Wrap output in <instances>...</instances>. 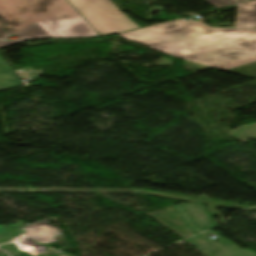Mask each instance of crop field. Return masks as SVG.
Here are the masks:
<instances>
[{
    "instance_id": "crop-field-1",
    "label": "crop field",
    "mask_w": 256,
    "mask_h": 256,
    "mask_svg": "<svg viewBox=\"0 0 256 256\" xmlns=\"http://www.w3.org/2000/svg\"><path fill=\"white\" fill-rule=\"evenodd\" d=\"M171 56L225 70L256 62V29L210 28L177 20L125 34Z\"/></svg>"
},
{
    "instance_id": "crop-field-2",
    "label": "crop field",
    "mask_w": 256,
    "mask_h": 256,
    "mask_svg": "<svg viewBox=\"0 0 256 256\" xmlns=\"http://www.w3.org/2000/svg\"><path fill=\"white\" fill-rule=\"evenodd\" d=\"M99 36L67 0H0V40Z\"/></svg>"
},
{
    "instance_id": "crop-field-3",
    "label": "crop field",
    "mask_w": 256,
    "mask_h": 256,
    "mask_svg": "<svg viewBox=\"0 0 256 256\" xmlns=\"http://www.w3.org/2000/svg\"><path fill=\"white\" fill-rule=\"evenodd\" d=\"M101 37L124 32L138 26L121 13L110 0H68Z\"/></svg>"
},
{
    "instance_id": "crop-field-4",
    "label": "crop field",
    "mask_w": 256,
    "mask_h": 256,
    "mask_svg": "<svg viewBox=\"0 0 256 256\" xmlns=\"http://www.w3.org/2000/svg\"><path fill=\"white\" fill-rule=\"evenodd\" d=\"M186 241L209 256H256L255 253L247 249H242L226 239L215 243L206 236L200 234Z\"/></svg>"
},
{
    "instance_id": "crop-field-5",
    "label": "crop field",
    "mask_w": 256,
    "mask_h": 256,
    "mask_svg": "<svg viewBox=\"0 0 256 256\" xmlns=\"http://www.w3.org/2000/svg\"><path fill=\"white\" fill-rule=\"evenodd\" d=\"M256 27V0L239 5L236 28Z\"/></svg>"
},
{
    "instance_id": "crop-field-6",
    "label": "crop field",
    "mask_w": 256,
    "mask_h": 256,
    "mask_svg": "<svg viewBox=\"0 0 256 256\" xmlns=\"http://www.w3.org/2000/svg\"><path fill=\"white\" fill-rule=\"evenodd\" d=\"M2 58V57H1ZM0 58V90L21 85L20 81Z\"/></svg>"
},
{
    "instance_id": "crop-field-7",
    "label": "crop field",
    "mask_w": 256,
    "mask_h": 256,
    "mask_svg": "<svg viewBox=\"0 0 256 256\" xmlns=\"http://www.w3.org/2000/svg\"><path fill=\"white\" fill-rule=\"evenodd\" d=\"M207 1L210 2L212 5H214L215 7L219 8V7H223V6H227V5H231V4H235V3H239L247 0H207Z\"/></svg>"
},
{
    "instance_id": "crop-field-8",
    "label": "crop field",
    "mask_w": 256,
    "mask_h": 256,
    "mask_svg": "<svg viewBox=\"0 0 256 256\" xmlns=\"http://www.w3.org/2000/svg\"><path fill=\"white\" fill-rule=\"evenodd\" d=\"M14 43H18V42H16V41L0 42V47L11 45V44H14Z\"/></svg>"
}]
</instances>
